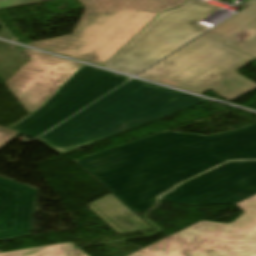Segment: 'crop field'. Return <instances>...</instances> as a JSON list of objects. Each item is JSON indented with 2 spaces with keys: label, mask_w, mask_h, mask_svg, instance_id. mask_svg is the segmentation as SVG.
Segmentation results:
<instances>
[{
  "label": "crop field",
  "mask_w": 256,
  "mask_h": 256,
  "mask_svg": "<svg viewBox=\"0 0 256 256\" xmlns=\"http://www.w3.org/2000/svg\"><path fill=\"white\" fill-rule=\"evenodd\" d=\"M228 159H256V123L210 136L164 131L75 162L137 215L177 183Z\"/></svg>",
  "instance_id": "obj_1"
},
{
  "label": "crop field",
  "mask_w": 256,
  "mask_h": 256,
  "mask_svg": "<svg viewBox=\"0 0 256 256\" xmlns=\"http://www.w3.org/2000/svg\"><path fill=\"white\" fill-rule=\"evenodd\" d=\"M204 101L131 80L36 140L61 155Z\"/></svg>",
  "instance_id": "obj_2"
},
{
  "label": "crop field",
  "mask_w": 256,
  "mask_h": 256,
  "mask_svg": "<svg viewBox=\"0 0 256 256\" xmlns=\"http://www.w3.org/2000/svg\"><path fill=\"white\" fill-rule=\"evenodd\" d=\"M79 1L85 10L72 35L27 44L103 66L160 12L186 0Z\"/></svg>",
  "instance_id": "obj_3"
},
{
  "label": "crop field",
  "mask_w": 256,
  "mask_h": 256,
  "mask_svg": "<svg viewBox=\"0 0 256 256\" xmlns=\"http://www.w3.org/2000/svg\"><path fill=\"white\" fill-rule=\"evenodd\" d=\"M253 59L200 36L138 77L230 101L256 88L235 73Z\"/></svg>",
  "instance_id": "obj_4"
},
{
  "label": "crop field",
  "mask_w": 256,
  "mask_h": 256,
  "mask_svg": "<svg viewBox=\"0 0 256 256\" xmlns=\"http://www.w3.org/2000/svg\"><path fill=\"white\" fill-rule=\"evenodd\" d=\"M219 7L188 0L177 9L159 14L104 67L138 74L206 31L207 28L195 22Z\"/></svg>",
  "instance_id": "obj_5"
},
{
  "label": "crop field",
  "mask_w": 256,
  "mask_h": 256,
  "mask_svg": "<svg viewBox=\"0 0 256 256\" xmlns=\"http://www.w3.org/2000/svg\"><path fill=\"white\" fill-rule=\"evenodd\" d=\"M231 224L201 221L130 256H256V195Z\"/></svg>",
  "instance_id": "obj_6"
},
{
  "label": "crop field",
  "mask_w": 256,
  "mask_h": 256,
  "mask_svg": "<svg viewBox=\"0 0 256 256\" xmlns=\"http://www.w3.org/2000/svg\"><path fill=\"white\" fill-rule=\"evenodd\" d=\"M128 79L83 65L35 112L10 129L37 137Z\"/></svg>",
  "instance_id": "obj_7"
},
{
  "label": "crop field",
  "mask_w": 256,
  "mask_h": 256,
  "mask_svg": "<svg viewBox=\"0 0 256 256\" xmlns=\"http://www.w3.org/2000/svg\"><path fill=\"white\" fill-rule=\"evenodd\" d=\"M256 194V161L229 162L161 197L186 206L233 204Z\"/></svg>",
  "instance_id": "obj_8"
},
{
  "label": "crop field",
  "mask_w": 256,
  "mask_h": 256,
  "mask_svg": "<svg viewBox=\"0 0 256 256\" xmlns=\"http://www.w3.org/2000/svg\"><path fill=\"white\" fill-rule=\"evenodd\" d=\"M29 60L5 85L27 110L35 111L82 65L20 47Z\"/></svg>",
  "instance_id": "obj_9"
},
{
  "label": "crop field",
  "mask_w": 256,
  "mask_h": 256,
  "mask_svg": "<svg viewBox=\"0 0 256 256\" xmlns=\"http://www.w3.org/2000/svg\"><path fill=\"white\" fill-rule=\"evenodd\" d=\"M35 193L0 177V240L30 235Z\"/></svg>",
  "instance_id": "obj_10"
},
{
  "label": "crop field",
  "mask_w": 256,
  "mask_h": 256,
  "mask_svg": "<svg viewBox=\"0 0 256 256\" xmlns=\"http://www.w3.org/2000/svg\"><path fill=\"white\" fill-rule=\"evenodd\" d=\"M87 206L118 233L149 228L111 193Z\"/></svg>",
  "instance_id": "obj_11"
},
{
  "label": "crop field",
  "mask_w": 256,
  "mask_h": 256,
  "mask_svg": "<svg viewBox=\"0 0 256 256\" xmlns=\"http://www.w3.org/2000/svg\"><path fill=\"white\" fill-rule=\"evenodd\" d=\"M254 18H256V4L249 6L202 36L220 43L240 30Z\"/></svg>",
  "instance_id": "obj_12"
},
{
  "label": "crop field",
  "mask_w": 256,
  "mask_h": 256,
  "mask_svg": "<svg viewBox=\"0 0 256 256\" xmlns=\"http://www.w3.org/2000/svg\"><path fill=\"white\" fill-rule=\"evenodd\" d=\"M0 256H88L71 242L0 253Z\"/></svg>",
  "instance_id": "obj_13"
},
{
  "label": "crop field",
  "mask_w": 256,
  "mask_h": 256,
  "mask_svg": "<svg viewBox=\"0 0 256 256\" xmlns=\"http://www.w3.org/2000/svg\"><path fill=\"white\" fill-rule=\"evenodd\" d=\"M223 44L256 57V21Z\"/></svg>",
  "instance_id": "obj_14"
},
{
  "label": "crop field",
  "mask_w": 256,
  "mask_h": 256,
  "mask_svg": "<svg viewBox=\"0 0 256 256\" xmlns=\"http://www.w3.org/2000/svg\"><path fill=\"white\" fill-rule=\"evenodd\" d=\"M18 131L10 130L0 126V147L15 136Z\"/></svg>",
  "instance_id": "obj_15"
},
{
  "label": "crop field",
  "mask_w": 256,
  "mask_h": 256,
  "mask_svg": "<svg viewBox=\"0 0 256 256\" xmlns=\"http://www.w3.org/2000/svg\"><path fill=\"white\" fill-rule=\"evenodd\" d=\"M41 0H0V8L9 7L14 5H20L30 2H36Z\"/></svg>",
  "instance_id": "obj_16"
},
{
  "label": "crop field",
  "mask_w": 256,
  "mask_h": 256,
  "mask_svg": "<svg viewBox=\"0 0 256 256\" xmlns=\"http://www.w3.org/2000/svg\"><path fill=\"white\" fill-rule=\"evenodd\" d=\"M253 3H256V0H248L243 5H241V7L246 8L247 6H249V5L253 4Z\"/></svg>",
  "instance_id": "obj_17"
}]
</instances>
